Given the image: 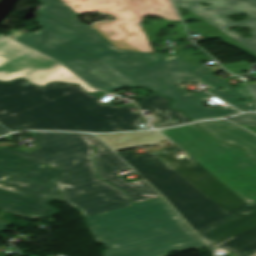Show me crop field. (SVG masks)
<instances>
[{
  "label": "crop field",
  "mask_w": 256,
  "mask_h": 256,
  "mask_svg": "<svg viewBox=\"0 0 256 256\" xmlns=\"http://www.w3.org/2000/svg\"><path fill=\"white\" fill-rule=\"evenodd\" d=\"M39 1L44 6L39 10L41 15L37 21L43 30L23 34L16 40L61 62L89 85L104 91L143 86L172 98L171 107L183 110L193 120L239 112L231 106L202 107L203 100L210 94H189L179 85L184 80H200L211 87L207 92L239 110H256L237 90L211 76L212 71L204 65L190 66L179 56L116 49L90 25L76 21V13L61 0ZM239 98L247 102L240 104Z\"/></svg>",
  "instance_id": "8a807250"
},
{
  "label": "crop field",
  "mask_w": 256,
  "mask_h": 256,
  "mask_svg": "<svg viewBox=\"0 0 256 256\" xmlns=\"http://www.w3.org/2000/svg\"><path fill=\"white\" fill-rule=\"evenodd\" d=\"M81 131L106 132L138 129L143 117L130 106L114 107L97 102L78 85L53 82L42 90ZM0 123L10 130H77L40 92L22 79L0 83Z\"/></svg>",
  "instance_id": "ac0d7876"
},
{
  "label": "crop field",
  "mask_w": 256,
  "mask_h": 256,
  "mask_svg": "<svg viewBox=\"0 0 256 256\" xmlns=\"http://www.w3.org/2000/svg\"><path fill=\"white\" fill-rule=\"evenodd\" d=\"M160 131L250 204L197 234L211 249L220 246L236 256L255 255L256 161L244 157L241 149L213 139L194 124Z\"/></svg>",
  "instance_id": "34b2d1b8"
},
{
  "label": "crop field",
  "mask_w": 256,
  "mask_h": 256,
  "mask_svg": "<svg viewBox=\"0 0 256 256\" xmlns=\"http://www.w3.org/2000/svg\"><path fill=\"white\" fill-rule=\"evenodd\" d=\"M177 147L133 156L118 152L198 232L248 206L190 157L177 158Z\"/></svg>",
  "instance_id": "412701ff"
},
{
  "label": "crop field",
  "mask_w": 256,
  "mask_h": 256,
  "mask_svg": "<svg viewBox=\"0 0 256 256\" xmlns=\"http://www.w3.org/2000/svg\"><path fill=\"white\" fill-rule=\"evenodd\" d=\"M86 219L97 243L108 249L104 256H166L204 246L161 198Z\"/></svg>",
  "instance_id": "f4fd0767"
},
{
  "label": "crop field",
  "mask_w": 256,
  "mask_h": 256,
  "mask_svg": "<svg viewBox=\"0 0 256 256\" xmlns=\"http://www.w3.org/2000/svg\"><path fill=\"white\" fill-rule=\"evenodd\" d=\"M41 148L27 154L0 149L38 163L57 166L67 175L55 180L64 202L89 216L132 204L124 193L99 180L92 162L94 147L78 133L34 132Z\"/></svg>",
  "instance_id": "dd49c442"
},
{
  "label": "crop field",
  "mask_w": 256,
  "mask_h": 256,
  "mask_svg": "<svg viewBox=\"0 0 256 256\" xmlns=\"http://www.w3.org/2000/svg\"><path fill=\"white\" fill-rule=\"evenodd\" d=\"M65 173L0 150V209L26 218L52 216L63 201L54 180Z\"/></svg>",
  "instance_id": "e52e79f7"
},
{
  "label": "crop field",
  "mask_w": 256,
  "mask_h": 256,
  "mask_svg": "<svg viewBox=\"0 0 256 256\" xmlns=\"http://www.w3.org/2000/svg\"><path fill=\"white\" fill-rule=\"evenodd\" d=\"M77 14L98 11L115 16L118 23L92 26L113 46L153 52L136 16L152 14L167 20L179 19L170 0H62ZM159 8V10H156Z\"/></svg>",
  "instance_id": "d8731c3e"
},
{
  "label": "crop field",
  "mask_w": 256,
  "mask_h": 256,
  "mask_svg": "<svg viewBox=\"0 0 256 256\" xmlns=\"http://www.w3.org/2000/svg\"><path fill=\"white\" fill-rule=\"evenodd\" d=\"M175 5L191 14L184 20L201 18L204 22L187 24L188 28L208 36H221L224 41L256 56V0H173ZM198 2L209 3L204 7ZM232 13H247L250 17L242 22H232L226 16ZM202 20V21H203ZM186 25V24H185ZM232 25L252 27L253 38L244 39L227 28Z\"/></svg>",
  "instance_id": "5a996713"
},
{
  "label": "crop field",
  "mask_w": 256,
  "mask_h": 256,
  "mask_svg": "<svg viewBox=\"0 0 256 256\" xmlns=\"http://www.w3.org/2000/svg\"><path fill=\"white\" fill-rule=\"evenodd\" d=\"M16 77L41 86L49 81L79 83L86 92L97 91L55 60L0 34V80Z\"/></svg>",
  "instance_id": "3316defc"
},
{
  "label": "crop field",
  "mask_w": 256,
  "mask_h": 256,
  "mask_svg": "<svg viewBox=\"0 0 256 256\" xmlns=\"http://www.w3.org/2000/svg\"><path fill=\"white\" fill-rule=\"evenodd\" d=\"M93 158L99 178L122 189L134 203L159 196L143 180L128 183L122 177L115 176L114 172L129 167L106 146L96 149Z\"/></svg>",
  "instance_id": "28ad6ade"
},
{
  "label": "crop field",
  "mask_w": 256,
  "mask_h": 256,
  "mask_svg": "<svg viewBox=\"0 0 256 256\" xmlns=\"http://www.w3.org/2000/svg\"><path fill=\"white\" fill-rule=\"evenodd\" d=\"M216 139L243 148L246 156L256 159V136L226 120L198 122Z\"/></svg>",
  "instance_id": "d1516ede"
},
{
  "label": "crop field",
  "mask_w": 256,
  "mask_h": 256,
  "mask_svg": "<svg viewBox=\"0 0 256 256\" xmlns=\"http://www.w3.org/2000/svg\"><path fill=\"white\" fill-rule=\"evenodd\" d=\"M96 136L103 140L113 150L156 144L159 143L161 140L167 139L164 135L160 134L157 131L138 133H116ZM111 136H114V138H111ZM126 139H128V141H125Z\"/></svg>",
  "instance_id": "22f410ed"
},
{
  "label": "crop field",
  "mask_w": 256,
  "mask_h": 256,
  "mask_svg": "<svg viewBox=\"0 0 256 256\" xmlns=\"http://www.w3.org/2000/svg\"><path fill=\"white\" fill-rule=\"evenodd\" d=\"M169 101L153 93L137 103L141 108L148 109L157 114L160 122L156 124V128L190 122L181 111L169 109L167 106Z\"/></svg>",
  "instance_id": "cbeb9de0"
},
{
  "label": "crop field",
  "mask_w": 256,
  "mask_h": 256,
  "mask_svg": "<svg viewBox=\"0 0 256 256\" xmlns=\"http://www.w3.org/2000/svg\"><path fill=\"white\" fill-rule=\"evenodd\" d=\"M137 18H138L139 21L143 20L142 16L137 17ZM147 21L149 23H151V24L150 25H147V24L142 25L141 27H142L143 31L158 30L160 27L164 28V29H168L166 27L172 24V21H166V20H157V21H149V20H147ZM159 22H161L163 24L162 25H157V23H159ZM172 25L176 26L175 28L183 27L182 24L181 25L180 24H172ZM147 28H148V30H146Z\"/></svg>",
  "instance_id": "5142ce71"
},
{
  "label": "crop field",
  "mask_w": 256,
  "mask_h": 256,
  "mask_svg": "<svg viewBox=\"0 0 256 256\" xmlns=\"http://www.w3.org/2000/svg\"><path fill=\"white\" fill-rule=\"evenodd\" d=\"M230 120L237 123L256 126V113L241 114Z\"/></svg>",
  "instance_id": "d9b57169"
},
{
  "label": "crop field",
  "mask_w": 256,
  "mask_h": 256,
  "mask_svg": "<svg viewBox=\"0 0 256 256\" xmlns=\"http://www.w3.org/2000/svg\"><path fill=\"white\" fill-rule=\"evenodd\" d=\"M223 68L227 69L228 71L234 73V74H240V70H246L248 71L249 65L246 63L245 60L233 64H226L222 65Z\"/></svg>",
  "instance_id": "733c2abd"
},
{
  "label": "crop field",
  "mask_w": 256,
  "mask_h": 256,
  "mask_svg": "<svg viewBox=\"0 0 256 256\" xmlns=\"http://www.w3.org/2000/svg\"><path fill=\"white\" fill-rule=\"evenodd\" d=\"M171 31L177 32L178 35H174L173 37L167 36V37H165L164 39H166V38L178 39V38H185V37H188L184 28L175 29V30H171ZM157 32H158V31H157ZM145 34H146V36H147L149 42L156 40L155 31L145 32ZM153 35H154V37H153ZM161 39H162V38H161ZM162 40H163V39H162Z\"/></svg>",
  "instance_id": "4a817a6b"
},
{
  "label": "crop field",
  "mask_w": 256,
  "mask_h": 256,
  "mask_svg": "<svg viewBox=\"0 0 256 256\" xmlns=\"http://www.w3.org/2000/svg\"><path fill=\"white\" fill-rule=\"evenodd\" d=\"M83 139L86 140L89 144L92 143V145L98 147L104 146L101 142H99L95 137H91V134H81Z\"/></svg>",
  "instance_id": "bc2a9ffb"
},
{
  "label": "crop field",
  "mask_w": 256,
  "mask_h": 256,
  "mask_svg": "<svg viewBox=\"0 0 256 256\" xmlns=\"http://www.w3.org/2000/svg\"><path fill=\"white\" fill-rule=\"evenodd\" d=\"M235 89H237L240 93H242L244 96H246L249 100H251L253 103V94L251 93V91L245 87L244 85L239 86V87H235ZM251 97V98H249Z\"/></svg>",
  "instance_id": "214f88e0"
},
{
  "label": "crop field",
  "mask_w": 256,
  "mask_h": 256,
  "mask_svg": "<svg viewBox=\"0 0 256 256\" xmlns=\"http://www.w3.org/2000/svg\"><path fill=\"white\" fill-rule=\"evenodd\" d=\"M253 92L254 94L256 95V84H249L247 85Z\"/></svg>",
  "instance_id": "92a150f3"
},
{
  "label": "crop field",
  "mask_w": 256,
  "mask_h": 256,
  "mask_svg": "<svg viewBox=\"0 0 256 256\" xmlns=\"http://www.w3.org/2000/svg\"><path fill=\"white\" fill-rule=\"evenodd\" d=\"M7 226H9V224L0 222V231L6 228Z\"/></svg>",
  "instance_id": "dafd665d"
},
{
  "label": "crop field",
  "mask_w": 256,
  "mask_h": 256,
  "mask_svg": "<svg viewBox=\"0 0 256 256\" xmlns=\"http://www.w3.org/2000/svg\"><path fill=\"white\" fill-rule=\"evenodd\" d=\"M5 129V128H4ZM2 127H0V135L8 133V131L4 130Z\"/></svg>",
  "instance_id": "00972430"
},
{
  "label": "crop field",
  "mask_w": 256,
  "mask_h": 256,
  "mask_svg": "<svg viewBox=\"0 0 256 256\" xmlns=\"http://www.w3.org/2000/svg\"><path fill=\"white\" fill-rule=\"evenodd\" d=\"M42 92V91H41ZM43 93V92H42ZM44 94V93H43ZM45 95V94H44ZM46 96V95H45ZM47 97V96H46ZM48 98V97H47ZM49 99V98H48ZM50 100V99H49ZM51 101V100H50ZM52 102V101H51ZM53 103V102H52ZM54 104V103H53ZM55 105V104H54ZM56 106V105H55ZM57 107V106H56ZM58 108V107H57ZM59 109V108H58ZM60 110V109H59ZM61 111V110H60ZM62 112V111H61ZM63 113V112H62ZM64 114V113H63ZM65 115V114H64ZM66 116V115H65ZM67 117V116H66ZM68 118V117H67ZM69 119V118H68ZM70 120V119H69ZM71 121V120H70ZM73 122V121H72ZM74 123V122H73ZM75 126V125H74ZM76 127V126H75ZM77 128V127H76ZM78 129V128H77ZM79 130V129H78Z\"/></svg>",
  "instance_id": "a9b5d70f"
},
{
  "label": "crop field",
  "mask_w": 256,
  "mask_h": 256,
  "mask_svg": "<svg viewBox=\"0 0 256 256\" xmlns=\"http://www.w3.org/2000/svg\"><path fill=\"white\" fill-rule=\"evenodd\" d=\"M105 22H116V21H105ZM105 22H95L94 24L105 23Z\"/></svg>",
  "instance_id": "4177f3b9"
},
{
  "label": "crop field",
  "mask_w": 256,
  "mask_h": 256,
  "mask_svg": "<svg viewBox=\"0 0 256 256\" xmlns=\"http://www.w3.org/2000/svg\"><path fill=\"white\" fill-rule=\"evenodd\" d=\"M252 75L256 76V73H252Z\"/></svg>",
  "instance_id": "730fd06b"
}]
</instances>
